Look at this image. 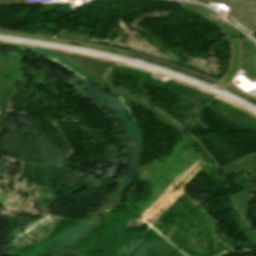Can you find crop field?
Wrapping results in <instances>:
<instances>
[{
	"label": "crop field",
	"mask_w": 256,
	"mask_h": 256,
	"mask_svg": "<svg viewBox=\"0 0 256 256\" xmlns=\"http://www.w3.org/2000/svg\"><path fill=\"white\" fill-rule=\"evenodd\" d=\"M241 46L242 61L240 68L245 71L242 75L253 83L256 81V44L248 39L241 43Z\"/></svg>",
	"instance_id": "ac0d7876"
},
{
	"label": "crop field",
	"mask_w": 256,
	"mask_h": 256,
	"mask_svg": "<svg viewBox=\"0 0 256 256\" xmlns=\"http://www.w3.org/2000/svg\"><path fill=\"white\" fill-rule=\"evenodd\" d=\"M231 10L228 18L249 34L256 31V0H218Z\"/></svg>",
	"instance_id": "8a807250"
},
{
	"label": "crop field",
	"mask_w": 256,
	"mask_h": 256,
	"mask_svg": "<svg viewBox=\"0 0 256 256\" xmlns=\"http://www.w3.org/2000/svg\"><path fill=\"white\" fill-rule=\"evenodd\" d=\"M13 1H26V0H0V2H13Z\"/></svg>",
	"instance_id": "34b2d1b8"
}]
</instances>
